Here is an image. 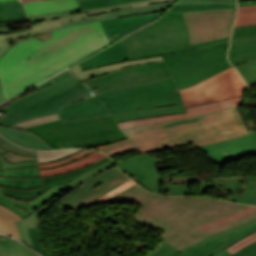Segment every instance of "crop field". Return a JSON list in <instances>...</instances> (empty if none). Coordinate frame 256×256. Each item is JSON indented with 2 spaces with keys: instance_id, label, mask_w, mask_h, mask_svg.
I'll list each match as a JSON object with an SVG mask.
<instances>
[{
  "instance_id": "1",
  "label": "crop field",
  "mask_w": 256,
  "mask_h": 256,
  "mask_svg": "<svg viewBox=\"0 0 256 256\" xmlns=\"http://www.w3.org/2000/svg\"><path fill=\"white\" fill-rule=\"evenodd\" d=\"M130 59L161 55L173 78L96 94L116 122L186 113L178 89L230 67V38L189 45L182 13L170 11L125 37Z\"/></svg>"
},
{
  "instance_id": "2",
  "label": "crop field",
  "mask_w": 256,
  "mask_h": 256,
  "mask_svg": "<svg viewBox=\"0 0 256 256\" xmlns=\"http://www.w3.org/2000/svg\"><path fill=\"white\" fill-rule=\"evenodd\" d=\"M107 44L99 22L54 30L44 42L27 39L17 43L0 59L5 100Z\"/></svg>"
},
{
  "instance_id": "3",
  "label": "crop field",
  "mask_w": 256,
  "mask_h": 256,
  "mask_svg": "<svg viewBox=\"0 0 256 256\" xmlns=\"http://www.w3.org/2000/svg\"><path fill=\"white\" fill-rule=\"evenodd\" d=\"M105 201H132L143 205L132 218L164 231L160 237L180 250L210 234L256 217L255 211L242 219L203 232L198 225L226 217L247 206L206 197L162 196L147 192L136 184Z\"/></svg>"
},
{
  "instance_id": "4",
  "label": "crop field",
  "mask_w": 256,
  "mask_h": 256,
  "mask_svg": "<svg viewBox=\"0 0 256 256\" xmlns=\"http://www.w3.org/2000/svg\"><path fill=\"white\" fill-rule=\"evenodd\" d=\"M123 131L129 139L95 149L108 156L134 149L142 154L191 143L196 147L252 132H248L237 108Z\"/></svg>"
},
{
  "instance_id": "5",
  "label": "crop field",
  "mask_w": 256,
  "mask_h": 256,
  "mask_svg": "<svg viewBox=\"0 0 256 256\" xmlns=\"http://www.w3.org/2000/svg\"><path fill=\"white\" fill-rule=\"evenodd\" d=\"M38 91L0 109V126L58 113L62 122L110 115L96 95L68 70L35 87Z\"/></svg>"
},
{
  "instance_id": "6",
  "label": "crop field",
  "mask_w": 256,
  "mask_h": 256,
  "mask_svg": "<svg viewBox=\"0 0 256 256\" xmlns=\"http://www.w3.org/2000/svg\"><path fill=\"white\" fill-rule=\"evenodd\" d=\"M24 130L43 138L53 149L62 148L58 142L98 138L122 134L111 116L62 124L60 120L35 125Z\"/></svg>"
},
{
  "instance_id": "7",
  "label": "crop field",
  "mask_w": 256,
  "mask_h": 256,
  "mask_svg": "<svg viewBox=\"0 0 256 256\" xmlns=\"http://www.w3.org/2000/svg\"><path fill=\"white\" fill-rule=\"evenodd\" d=\"M246 84L233 67L187 89L179 90L185 108L240 96Z\"/></svg>"
},
{
  "instance_id": "8",
  "label": "crop field",
  "mask_w": 256,
  "mask_h": 256,
  "mask_svg": "<svg viewBox=\"0 0 256 256\" xmlns=\"http://www.w3.org/2000/svg\"><path fill=\"white\" fill-rule=\"evenodd\" d=\"M172 1L174 0H141V1L111 5V6L100 7V8L85 9V10L75 9V10H68V11L31 16V17H28L29 21H35V20L40 21L45 19L46 22L41 24L30 25L31 30H28V31L0 35V58L9 50L10 45L7 40L62 28L64 27L62 21L87 19V18L93 17V16L87 17L85 12H89V14L104 13V12H109V11L118 10V9L127 8V7L141 6V5H147V4H153V3H166V2H172ZM3 101H4V98H3L2 89L0 86V103H2Z\"/></svg>"
},
{
  "instance_id": "9",
  "label": "crop field",
  "mask_w": 256,
  "mask_h": 256,
  "mask_svg": "<svg viewBox=\"0 0 256 256\" xmlns=\"http://www.w3.org/2000/svg\"><path fill=\"white\" fill-rule=\"evenodd\" d=\"M167 78L171 75L164 62H160L128 67L83 83L100 93Z\"/></svg>"
},
{
  "instance_id": "10",
  "label": "crop field",
  "mask_w": 256,
  "mask_h": 256,
  "mask_svg": "<svg viewBox=\"0 0 256 256\" xmlns=\"http://www.w3.org/2000/svg\"><path fill=\"white\" fill-rule=\"evenodd\" d=\"M236 8L183 13L190 44L230 37Z\"/></svg>"
},
{
  "instance_id": "11",
  "label": "crop field",
  "mask_w": 256,
  "mask_h": 256,
  "mask_svg": "<svg viewBox=\"0 0 256 256\" xmlns=\"http://www.w3.org/2000/svg\"><path fill=\"white\" fill-rule=\"evenodd\" d=\"M122 172L140 186L156 193L167 191L171 195H188L189 184H164L154 165L160 160L148 155H138L115 162Z\"/></svg>"
},
{
  "instance_id": "12",
  "label": "crop field",
  "mask_w": 256,
  "mask_h": 256,
  "mask_svg": "<svg viewBox=\"0 0 256 256\" xmlns=\"http://www.w3.org/2000/svg\"><path fill=\"white\" fill-rule=\"evenodd\" d=\"M256 231V219L234 228L210 235L182 250L188 256H230L224 249Z\"/></svg>"
},
{
  "instance_id": "13",
  "label": "crop field",
  "mask_w": 256,
  "mask_h": 256,
  "mask_svg": "<svg viewBox=\"0 0 256 256\" xmlns=\"http://www.w3.org/2000/svg\"><path fill=\"white\" fill-rule=\"evenodd\" d=\"M196 148L207 153L219 165L244 156H256V131L241 137L207 144Z\"/></svg>"
},
{
  "instance_id": "14",
  "label": "crop field",
  "mask_w": 256,
  "mask_h": 256,
  "mask_svg": "<svg viewBox=\"0 0 256 256\" xmlns=\"http://www.w3.org/2000/svg\"><path fill=\"white\" fill-rule=\"evenodd\" d=\"M202 194L209 188L229 193L226 199L256 204V176L242 178L207 179L200 182Z\"/></svg>"
},
{
  "instance_id": "15",
  "label": "crop field",
  "mask_w": 256,
  "mask_h": 256,
  "mask_svg": "<svg viewBox=\"0 0 256 256\" xmlns=\"http://www.w3.org/2000/svg\"><path fill=\"white\" fill-rule=\"evenodd\" d=\"M228 57L233 65L256 59V25L234 28Z\"/></svg>"
},
{
  "instance_id": "16",
  "label": "crop field",
  "mask_w": 256,
  "mask_h": 256,
  "mask_svg": "<svg viewBox=\"0 0 256 256\" xmlns=\"http://www.w3.org/2000/svg\"><path fill=\"white\" fill-rule=\"evenodd\" d=\"M108 160H110L109 157H107L91 166H88V167H85V168H82V169H79L76 171H72V172H68V173H64V174L52 176V177H43L42 180H43L44 186L39 187L37 189L15 190V189L2 187L3 193L5 196L28 201L30 199L36 198L38 195H40L42 192H44L49 187H51L53 185H65V184L69 183L70 181L74 180L76 177L88 172L89 170H91L92 168H94L98 165H101V164L107 162Z\"/></svg>"
},
{
  "instance_id": "17",
  "label": "crop field",
  "mask_w": 256,
  "mask_h": 256,
  "mask_svg": "<svg viewBox=\"0 0 256 256\" xmlns=\"http://www.w3.org/2000/svg\"><path fill=\"white\" fill-rule=\"evenodd\" d=\"M111 161H109V162H111ZM109 162H107V163H109ZM107 163H105V164H107ZM105 164H103V165H105ZM103 165H101V166H103ZM101 166H98V167L92 169L88 173L76 178L74 181L70 182L69 184H67L65 186H53V187L49 188L48 190H46L44 193H42L40 196H38L36 199L30 200L28 202H24V201H20V200H16V199H12V198L3 196L2 189L0 187V204L8 207L10 210L17 213L22 218H25L29 214H31L35 210H37L39 207L44 205L50 198L54 197L55 195L60 193L62 190L67 188L72 183H74L77 180L81 179L82 177L88 175L89 173L93 172L94 170L100 168Z\"/></svg>"
},
{
  "instance_id": "18",
  "label": "crop field",
  "mask_w": 256,
  "mask_h": 256,
  "mask_svg": "<svg viewBox=\"0 0 256 256\" xmlns=\"http://www.w3.org/2000/svg\"><path fill=\"white\" fill-rule=\"evenodd\" d=\"M162 12L141 14L130 17H124L115 20L100 22L109 41L113 42L118 38L126 35L134 29L154 20Z\"/></svg>"
},
{
  "instance_id": "19",
  "label": "crop field",
  "mask_w": 256,
  "mask_h": 256,
  "mask_svg": "<svg viewBox=\"0 0 256 256\" xmlns=\"http://www.w3.org/2000/svg\"><path fill=\"white\" fill-rule=\"evenodd\" d=\"M241 103H242V96L219 101V102H214V103H210V104H205V105H201V106L187 108L186 109L187 114H176V115H169V116H163V117L134 120V121H129V122L118 123V125H119L120 129L129 128V127L145 125V124H149V123H153V122L165 121V120L184 117V116H188V115L239 106V105H241Z\"/></svg>"
},
{
  "instance_id": "20",
  "label": "crop field",
  "mask_w": 256,
  "mask_h": 256,
  "mask_svg": "<svg viewBox=\"0 0 256 256\" xmlns=\"http://www.w3.org/2000/svg\"><path fill=\"white\" fill-rule=\"evenodd\" d=\"M129 56L126 50L125 39L113 44L112 46L104 49L96 55L88 58L87 60L79 63L82 69L94 66L113 64L123 61H128Z\"/></svg>"
},
{
  "instance_id": "21",
  "label": "crop field",
  "mask_w": 256,
  "mask_h": 256,
  "mask_svg": "<svg viewBox=\"0 0 256 256\" xmlns=\"http://www.w3.org/2000/svg\"><path fill=\"white\" fill-rule=\"evenodd\" d=\"M122 174L118 168L115 166L97 174L75 190H73L74 194L69 196L63 203V207L69 208L72 204L77 202L82 196L106 183L107 181L113 179L114 177ZM108 183V182H107ZM103 186V185H102ZM98 189V188H97ZM93 192V191H92ZM88 195V194H87ZM83 198V197H82Z\"/></svg>"
},
{
  "instance_id": "22",
  "label": "crop field",
  "mask_w": 256,
  "mask_h": 256,
  "mask_svg": "<svg viewBox=\"0 0 256 256\" xmlns=\"http://www.w3.org/2000/svg\"><path fill=\"white\" fill-rule=\"evenodd\" d=\"M163 61L161 56L158 57H152V58H146V59H140V60H134V61H128L113 65H107V66H101V67H94L90 69L82 70L79 65H75L71 68H69L72 73L78 77L81 81L87 80L93 77H97L103 74L110 73L115 70H119L128 66L132 65H138V64H145V63H152V62H160Z\"/></svg>"
},
{
  "instance_id": "23",
  "label": "crop field",
  "mask_w": 256,
  "mask_h": 256,
  "mask_svg": "<svg viewBox=\"0 0 256 256\" xmlns=\"http://www.w3.org/2000/svg\"><path fill=\"white\" fill-rule=\"evenodd\" d=\"M169 4L170 3L153 4V5H147V6H142V7L127 8V9H123V10L104 13V14L95 16L94 18L88 19V20L68 21V22H63V23L65 26H68V25H76V24L94 22V21H98V20L102 21V20H108V19H115V18H120V17H124V16L135 15V14H141V13L164 11V9Z\"/></svg>"
},
{
  "instance_id": "24",
  "label": "crop field",
  "mask_w": 256,
  "mask_h": 256,
  "mask_svg": "<svg viewBox=\"0 0 256 256\" xmlns=\"http://www.w3.org/2000/svg\"><path fill=\"white\" fill-rule=\"evenodd\" d=\"M27 17L20 1L0 3V33L8 32L6 24L24 22Z\"/></svg>"
},
{
  "instance_id": "25",
  "label": "crop field",
  "mask_w": 256,
  "mask_h": 256,
  "mask_svg": "<svg viewBox=\"0 0 256 256\" xmlns=\"http://www.w3.org/2000/svg\"><path fill=\"white\" fill-rule=\"evenodd\" d=\"M28 16L78 8L76 0H48L24 3Z\"/></svg>"
},
{
  "instance_id": "26",
  "label": "crop field",
  "mask_w": 256,
  "mask_h": 256,
  "mask_svg": "<svg viewBox=\"0 0 256 256\" xmlns=\"http://www.w3.org/2000/svg\"><path fill=\"white\" fill-rule=\"evenodd\" d=\"M0 133H2L9 140L17 144L23 145L25 147L38 148V149H52L40 137L27 131L0 127Z\"/></svg>"
},
{
  "instance_id": "27",
  "label": "crop field",
  "mask_w": 256,
  "mask_h": 256,
  "mask_svg": "<svg viewBox=\"0 0 256 256\" xmlns=\"http://www.w3.org/2000/svg\"><path fill=\"white\" fill-rule=\"evenodd\" d=\"M130 180L125 175H120L115 179L109 181L108 183L104 184L103 186L99 187L98 189L94 190L93 192L89 193L88 195L81 198L77 203L72 205L69 209L77 211L83 207H85L88 203L95 200L96 198L104 195L105 193L115 189L116 187L120 186L121 184L125 183L126 181Z\"/></svg>"
},
{
  "instance_id": "28",
  "label": "crop field",
  "mask_w": 256,
  "mask_h": 256,
  "mask_svg": "<svg viewBox=\"0 0 256 256\" xmlns=\"http://www.w3.org/2000/svg\"><path fill=\"white\" fill-rule=\"evenodd\" d=\"M104 157H106V156L95 151V152H93V153L73 162V163H70V164H67V165H64L61 167H57V168H52V169H48V170H39V171H40L41 176L57 175V174H61L64 172L76 170L78 168L91 165Z\"/></svg>"
},
{
  "instance_id": "29",
  "label": "crop field",
  "mask_w": 256,
  "mask_h": 256,
  "mask_svg": "<svg viewBox=\"0 0 256 256\" xmlns=\"http://www.w3.org/2000/svg\"><path fill=\"white\" fill-rule=\"evenodd\" d=\"M22 219L17 214L11 212L8 208L0 205V232L21 240L18 229L14 223Z\"/></svg>"
},
{
  "instance_id": "30",
  "label": "crop field",
  "mask_w": 256,
  "mask_h": 256,
  "mask_svg": "<svg viewBox=\"0 0 256 256\" xmlns=\"http://www.w3.org/2000/svg\"><path fill=\"white\" fill-rule=\"evenodd\" d=\"M0 256H38L20 243L0 236Z\"/></svg>"
},
{
  "instance_id": "31",
  "label": "crop field",
  "mask_w": 256,
  "mask_h": 256,
  "mask_svg": "<svg viewBox=\"0 0 256 256\" xmlns=\"http://www.w3.org/2000/svg\"><path fill=\"white\" fill-rule=\"evenodd\" d=\"M123 139H127L125 134L105 137V138H98V139L63 142L60 144L62 145L63 148H68V147L88 148V147H97L99 145H103V144H107V143H111V142H115Z\"/></svg>"
},
{
  "instance_id": "32",
  "label": "crop field",
  "mask_w": 256,
  "mask_h": 256,
  "mask_svg": "<svg viewBox=\"0 0 256 256\" xmlns=\"http://www.w3.org/2000/svg\"><path fill=\"white\" fill-rule=\"evenodd\" d=\"M46 208L41 207L40 209H38L36 212H34L33 214L29 215L27 218H25L24 220H19L16 222L19 232H20V236L22 238V241L27 243L28 245H30L32 247L30 238L27 234V230L26 227H32V228H39V223H38V217L39 215L45 210Z\"/></svg>"
},
{
  "instance_id": "33",
  "label": "crop field",
  "mask_w": 256,
  "mask_h": 256,
  "mask_svg": "<svg viewBox=\"0 0 256 256\" xmlns=\"http://www.w3.org/2000/svg\"><path fill=\"white\" fill-rule=\"evenodd\" d=\"M82 149H67L58 151H37L38 163H49L71 156Z\"/></svg>"
},
{
  "instance_id": "34",
  "label": "crop field",
  "mask_w": 256,
  "mask_h": 256,
  "mask_svg": "<svg viewBox=\"0 0 256 256\" xmlns=\"http://www.w3.org/2000/svg\"><path fill=\"white\" fill-rule=\"evenodd\" d=\"M256 24V6L238 7L235 26Z\"/></svg>"
},
{
  "instance_id": "35",
  "label": "crop field",
  "mask_w": 256,
  "mask_h": 256,
  "mask_svg": "<svg viewBox=\"0 0 256 256\" xmlns=\"http://www.w3.org/2000/svg\"><path fill=\"white\" fill-rule=\"evenodd\" d=\"M256 210V206H250L240 212H237L231 216H228L226 218H223V219H219V220H216V221H213V222H210V223H207V224H204V225H200V227L202 228L203 231L205 230H208V229H211V228H214V227H217V226H220V225H223V224H226V223H229V222H232L234 220H237L253 211Z\"/></svg>"
},
{
  "instance_id": "36",
  "label": "crop field",
  "mask_w": 256,
  "mask_h": 256,
  "mask_svg": "<svg viewBox=\"0 0 256 256\" xmlns=\"http://www.w3.org/2000/svg\"><path fill=\"white\" fill-rule=\"evenodd\" d=\"M228 7H236V5L230 4H192V5H180L173 6L170 8L172 12H187V11H198L204 9H217V8H228Z\"/></svg>"
},
{
  "instance_id": "37",
  "label": "crop field",
  "mask_w": 256,
  "mask_h": 256,
  "mask_svg": "<svg viewBox=\"0 0 256 256\" xmlns=\"http://www.w3.org/2000/svg\"><path fill=\"white\" fill-rule=\"evenodd\" d=\"M0 147L11 151L15 154L29 156V157H37L35 150L25 149L23 147L14 145L10 142H8L4 137L0 135Z\"/></svg>"
},
{
  "instance_id": "38",
  "label": "crop field",
  "mask_w": 256,
  "mask_h": 256,
  "mask_svg": "<svg viewBox=\"0 0 256 256\" xmlns=\"http://www.w3.org/2000/svg\"><path fill=\"white\" fill-rule=\"evenodd\" d=\"M79 9L93 8L106 6L111 4H117L122 2L134 1V0H77Z\"/></svg>"
},
{
  "instance_id": "39",
  "label": "crop field",
  "mask_w": 256,
  "mask_h": 256,
  "mask_svg": "<svg viewBox=\"0 0 256 256\" xmlns=\"http://www.w3.org/2000/svg\"><path fill=\"white\" fill-rule=\"evenodd\" d=\"M94 150H88V149H85L71 157H68L66 159H63V160H59V161H56V162H53V163H50V164H38L39 165V169H48V168H52V167H56V166H60V165H64V164H67V163H70V162H73L91 152H93Z\"/></svg>"
},
{
  "instance_id": "40",
  "label": "crop field",
  "mask_w": 256,
  "mask_h": 256,
  "mask_svg": "<svg viewBox=\"0 0 256 256\" xmlns=\"http://www.w3.org/2000/svg\"><path fill=\"white\" fill-rule=\"evenodd\" d=\"M27 229H28V233L31 238L34 249L38 250L45 256H50L45 252V250L43 249L40 243L39 229H32V228H27Z\"/></svg>"
},
{
  "instance_id": "41",
  "label": "crop field",
  "mask_w": 256,
  "mask_h": 256,
  "mask_svg": "<svg viewBox=\"0 0 256 256\" xmlns=\"http://www.w3.org/2000/svg\"><path fill=\"white\" fill-rule=\"evenodd\" d=\"M58 119H60V118H59L58 114H56V115H52V116L33 119V120H30V121L18 124L16 126H13L12 128L23 129V128H26V127H29V126H32V125H35V124H39V123H43V122H47V121H52V120H58Z\"/></svg>"
},
{
  "instance_id": "42",
  "label": "crop field",
  "mask_w": 256,
  "mask_h": 256,
  "mask_svg": "<svg viewBox=\"0 0 256 256\" xmlns=\"http://www.w3.org/2000/svg\"><path fill=\"white\" fill-rule=\"evenodd\" d=\"M254 241H256V233L251 234V235L245 237L243 240H240V241L234 243L233 245L228 247L226 250L233 254L236 251H238L239 249H241L242 247H244Z\"/></svg>"
},
{
  "instance_id": "43",
  "label": "crop field",
  "mask_w": 256,
  "mask_h": 256,
  "mask_svg": "<svg viewBox=\"0 0 256 256\" xmlns=\"http://www.w3.org/2000/svg\"><path fill=\"white\" fill-rule=\"evenodd\" d=\"M153 256H185V255L167 243L160 250H158Z\"/></svg>"
},
{
  "instance_id": "44",
  "label": "crop field",
  "mask_w": 256,
  "mask_h": 256,
  "mask_svg": "<svg viewBox=\"0 0 256 256\" xmlns=\"http://www.w3.org/2000/svg\"><path fill=\"white\" fill-rule=\"evenodd\" d=\"M235 67L237 68L239 73L242 75V77L246 81L247 85L256 84V80L253 77V75L251 74V72H250L249 68L247 67L246 63L242 64V65H239V66H235Z\"/></svg>"
},
{
  "instance_id": "45",
  "label": "crop field",
  "mask_w": 256,
  "mask_h": 256,
  "mask_svg": "<svg viewBox=\"0 0 256 256\" xmlns=\"http://www.w3.org/2000/svg\"><path fill=\"white\" fill-rule=\"evenodd\" d=\"M133 184H134V182H132V181L130 180V181L126 182L125 184L121 185L120 187L116 188L115 190H113V191L107 193L106 195H104V196H102V197L96 199V200L93 201L92 203L88 204L86 207L89 208V207H91V206H93V205H95V204H97V203L103 201L104 199H106V198H108V197H110V196H112V195H114V194H116V193L122 191L123 189H125V188H127V187H129V186H131V185H133Z\"/></svg>"
},
{
  "instance_id": "46",
  "label": "crop field",
  "mask_w": 256,
  "mask_h": 256,
  "mask_svg": "<svg viewBox=\"0 0 256 256\" xmlns=\"http://www.w3.org/2000/svg\"><path fill=\"white\" fill-rule=\"evenodd\" d=\"M2 157L5 161L12 162V163L37 160V158H29V157L19 156V155H15L11 152H7V153L3 154Z\"/></svg>"
},
{
  "instance_id": "47",
  "label": "crop field",
  "mask_w": 256,
  "mask_h": 256,
  "mask_svg": "<svg viewBox=\"0 0 256 256\" xmlns=\"http://www.w3.org/2000/svg\"><path fill=\"white\" fill-rule=\"evenodd\" d=\"M232 256H256V242L242 248Z\"/></svg>"
},
{
  "instance_id": "48",
  "label": "crop field",
  "mask_w": 256,
  "mask_h": 256,
  "mask_svg": "<svg viewBox=\"0 0 256 256\" xmlns=\"http://www.w3.org/2000/svg\"><path fill=\"white\" fill-rule=\"evenodd\" d=\"M113 165H115V164L112 162V163H110V164H108V165H106V166L96 170L95 172H93V173L89 174L88 176L84 177L83 179L77 181L76 183H74L73 185L69 186L68 188L70 190L75 189L76 187H78L79 185H81L82 183H84L85 181H87L88 179H90L91 177L96 175L97 173H99V172H101V171H103V170H105V169H107V168H109V167H111Z\"/></svg>"
},
{
  "instance_id": "49",
  "label": "crop field",
  "mask_w": 256,
  "mask_h": 256,
  "mask_svg": "<svg viewBox=\"0 0 256 256\" xmlns=\"http://www.w3.org/2000/svg\"><path fill=\"white\" fill-rule=\"evenodd\" d=\"M192 3H231V4H236V2H217V1H210V0H178L175 3V5L192 4Z\"/></svg>"
},
{
  "instance_id": "50",
  "label": "crop field",
  "mask_w": 256,
  "mask_h": 256,
  "mask_svg": "<svg viewBox=\"0 0 256 256\" xmlns=\"http://www.w3.org/2000/svg\"><path fill=\"white\" fill-rule=\"evenodd\" d=\"M247 65L250 68V70H251L252 74L254 75V77L256 78V60L252 61V62H248Z\"/></svg>"
},
{
  "instance_id": "51",
  "label": "crop field",
  "mask_w": 256,
  "mask_h": 256,
  "mask_svg": "<svg viewBox=\"0 0 256 256\" xmlns=\"http://www.w3.org/2000/svg\"><path fill=\"white\" fill-rule=\"evenodd\" d=\"M167 242L162 241V243L156 247L154 250H152L150 253H148L146 256H151L152 254H154L158 249H160L164 244H166Z\"/></svg>"
},
{
  "instance_id": "52",
  "label": "crop field",
  "mask_w": 256,
  "mask_h": 256,
  "mask_svg": "<svg viewBox=\"0 0 256 256\" xmlns=\"http://www.w3.org/2000/svg\"><path fill=\"white\" fill-rule=\"evenodd\" d=\"M256 5V2H238V6Z\"/></svg>"
},
{
  "instance_id": "53",
  "label": "crop field",
  "mask_w": 256,
  "mask_h": 256,
  "mask_svg": "<svg viewBox=\"0 0 256 256\" xmlns=\"http://www.w3.org/2000/svg\"><path fill=\"white\" fill-rule=\"evenodd\" d=\"M23 2H28V1H38V0H22Z\"/></svg>"
},
{
  "instance_id": "54",
  "label": "crop field",
  "mask_w": 256,
  "mask_h": 256,
  "mask_svg": "<svg viewBox=\"0 0 256 256\" xmlns=\"http://www.w3.org/2000/svg\"><path fill=\"white\" fill-rule=\"evenodd\" d=\"M217 1H236V0H217Z\"/></svg>"
},
{
  "instance_id": "55",
  "label": "crop field",
  "mask_w": 256,
  "mask_h": 256,
  "mask_svg": "<svg viewBox=\"0 0 256 256\" xmlns=\"http://www.w3.org/2000/svg\"><path fill=\"white\" fill-rule=\"evenodd\" d=\"M238 1H255V0H238Z\"/></svg>"
},
{
  "instance_id": "56",
  "label": "crop field",
  "mask_w": 256,
  "mask_h": 256,
  "mask_svg": "<svg viewBox=\"0 0 256 256\" xmlns=\"http://www.w3.org/2000/svg\"><path fill=\"white\" fill-rule=\"evenodd\" d=\"M0 1H7V0H0Z\"/></svg>"
}]
</instances>
